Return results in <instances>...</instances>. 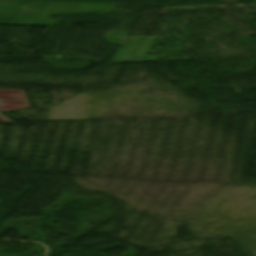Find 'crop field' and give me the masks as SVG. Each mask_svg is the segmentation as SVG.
<instances>
[{
	"instance_id": "8a807250",
	"label": "crop field",
	"mask_w": 256,
	"mask_h": 256,
	"mask_svg": "<svg viewBox=\"0 0 256 256\" xmlns=\"http://www.w3.org/2000/svg\"><path fill=\"white\" fill-rule=\"evenodd\" d=\"M29 107L22 91L0 90V113ZM0 122H10L0 115Z\"/></svg>"
}]
</instances>
